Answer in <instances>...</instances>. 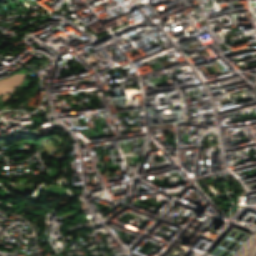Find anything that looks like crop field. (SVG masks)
<instances>
[{
	"mask_svg": "<svg viewBox=\"0 0 256 256\" xmlns=\"http://www.w3.org/2000/svg\"><path fill=\"white\" fill-rule=\"evenodd\" d=\"M25 73H16L13 76L0 81V94L12 93L17 85L24 79Z\"/></svg>",
	"mask_w": 256,
	"mask_h": 256,
	"instance_id": "crop-field-1",
	"label": "crop field"
},
{
	"mask_svg": "<svg viewBox=\"0 0 256 256\" xmlns=\"http://www.w3.org/2000/svg\"><path fill=\"white\" fill-rule=\"evenodd\" d=\"M10 95L3 96L1 100L6 101Z\"/></svg>",
	"mask_w": 256,
	"mask_h": 256,
	"instance_id": "crop-field-2",
	"label": "crop field"
}]
</instances>
